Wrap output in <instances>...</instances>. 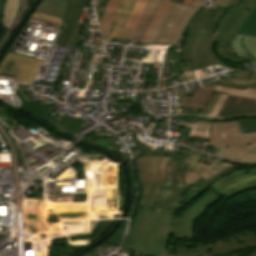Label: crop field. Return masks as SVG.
Returning a JSON list of instances; mask_svg holds the SVG:
<instances>
[{"mask_svg":"<svg viewBox=\"0 0 256 256\" xmlns=\"http://www.w3.org/2000/svg\"><path fill=\"white\" fill-rule=\"evenodd\" d=\"M220 197L210 190L182 217L137 209L122 250L152 256H202L209 247L195 246L193 223L208 205Z\"/></svg>","mask_w":256,"mask_h":256,"instance_id":"1","label":"crop field"},{"mask_svg":"<svg viewBox=\"0 0 256 256\" xmlns=\"http://www.w3.org/2000/svg\"><path fill=\"white\" fill-rule=\"evenodd\" d=\"M202 155L188 150L185 158H178L172 181L164 182L151 210L175 214L177 210L196 200L198 195L207 190L199 186L184 184L185 171L192 172Z\"/></svg>","mask_w":256,"mask_h":256,"instance_id":"2","label":"crop field"},{"mask_svg":"<svg viewBox=\"0 0 256 256\" xmlns=\"http://www.w3.org/2000/svg\"><path fill=\"white\" fill-rule=\"evenodd\" d=\"M207 146L219 149L216 156L224 159L242 164L256 163V133L241 134L236 121L212 123Z\"/></svg>","mask_w":256,"mask_h":256,"instance_id":"3","label":"crop field"},{"mask_svg":"<svg viewBox=\"0 0 256 256\" xmlns=\"http://www.w3.org/2000/svg\"><path fill=\"white\" fill-rule=\"evenodd\" d=\"M216 35L202 32L200 29L190 28L182 59L186 62L179 66V73L199 69L216 63L219 59L214 55L212 48Z\"/></svg>","mask_w":256,"mask_h":256,"instance_id":"4","label":"crop field"},{"mask_svg":"<svg viewBox=\"0 0 256 256\" xmlns=\"http://www.w3.org/2000/svg\"><path fill=\"white\" fill-rule=\"evenodd\" d=\"M134 158L138 168L139 180L143 188V197L139 208L150 209L165 180L166 157ZM158 191V192H156Z\"/></svg>","mask_w":256,"mask_h":256,"instance_id":"5","label":"crop field"},{"mask_svg":"<svg viewBox=\"0 0 256 256\" xmlns=\"http://www.w3.org/2000/svg\"><path fill=\"white\" fill-rule=\"evenodd\" d=\"M255 7L256 0H243L237 8H229L215 32L216 42L226 43L227 39L234 40L240 25Z\"/></svg>","mask_w":256,"mask_h":256,"instance_id":"6","label":"crop field"},{"mask_svg":"<svg viewBox=\"0 0 256 256\" xmlns=\"http://www.w3.org/2000/svg\"><path fill=\"white\" fill-rule=\"evenodd\" d=\"M254 188H256V169L239 170L214 182L210 186V189L225 199Z\"/></svg>","mask_w":256,"mask_h":256,"instance_id":"7","label":"crop field"},{"mask_svg":"<svg viewBox=\"0 0 256 256\" xmlns=\"http://www.w3.org/2000/svg\"><path fill=\"white\" fill-rule=\"evenodd\" d=\"M195 10L190 7L174 4L154 42L168 45L173 44L177 40L185 22Z\"/></svg>","mask_w":256,"mask_h":256,"instance_id":"8","label":"crop field"},{"mask_svg":"<svg viewBox=\"0 0 256 256\" xmlns=\"http://www.w3.org/2000/svg\"><path fill=\"white\" fill-rule=\"evenodd\" d=\"M41 61L6 53L0 62V75L16 77L15 81L31 82Z\"/></svg>","mask_w":256,"mask_h":256,"instance_id":"9","label":"crop field"},{"mask_svg":"<svg viewBox=\"0 0 256 256\" xmlns=\"http://www.w3.org/2000/svg\"><path fill=\"white\" fill-rule=\"evenodd\" d=\"M216 159L210 166L198 162L193 173L186 172L185 183L196 184L208 188L211 183L222 178L223 176L239 170L230 169L232 164L222 162L220 166L214 165Z\"/></svg>","mask_w":256,"mask_h":256,"instance_id":"10","label":"crop field"},{"mask_svg":"<svg viewBox=\"0 0 256 256\" xmlns=\"http://www.w3.org/2000/svg\"><path fill=\"white\" fill-rule=\"evenodd\" d=\"M255 245L256 234L253 231H247L243 234L218 242L205 256L225 254L240 248Z\"/></svg>","mask_w":256,"mask_h":256,"instance_id":"11","label":"crop field"},{"mask_svg":"<svg viewBox=\"0 0 256 256\" xmlns=\"http://www.w3.org/2000/svg\"><path fill=\"white\" fill-rule=\"evenodd\" d=\"M256 115V100L229 95L218 117Z\"/></svg>","mask_w":256,"mask_h":256,"instance_id":"12","label":"crop field"},{"mask_svg":"<svg viewBox=\"0 0 256 256\" xmlns=\"http://www.w3.org/2000/svg\"><path fill=\"white\" fill-rule=\"evenodd\" d=\"M228 47L236 55L249 60L256 67V37L237 35L235 41L228 40Z\"/></svg>","mask_w":256,"mask_h":256,"instance_id":"13","label":"crop field"},{"mask_svg":"<svg viewBox=\"0 0 256 256\" xmlns=\"http://www.w3.org/2000/svg\"><path fill=\"white\" fill-rule=\"evenodd\" d=\"M89 0H69L63 21L70 22L64 32L59 44L67 45L77 22L81 16L84 5H88Z\"/></svg>","mask_w":256,"mask_h":256,"instance_id":"14","label":"crop field"},{"mask_svg":"<svg viewBox=\"0 0 256 256\" xmlns=\"http://www.w3.org/2000/svg\"><path fill=\"white\" fill-rule=\"evenodd\" d=\"M161 4V1L149 0L137 29H131L126 39L142 41Z\"/></svg>","mask_w":256,"mask_h":256,"instance_id":"15","label":"crop field"},{"mask_svg":"<svg viewBox=\"0 0 256 256\" xmlns=\"http://www.w3.org/2000/svg\"><path fill=\"white\" fill-rule=\"evenodd\" d=\"M16 96L21 100V110L46 122L56 118L50 115L53 109L31 102L23 93L21 88H17Z\"/></svg>","mask_w":256,"mask_h":256,"instance_id":"16","label":"crop field"},{"mask_svg":"<svg viewBox=\"0 0 256 256\" xmlns=\"http://www.w3.org/2000/svg\"><path fill=\"white\" fill-rule=\"evenodd\" d=\"M215 91L222 92L217 103L215 104L214 108L212 111L205 115L208 117H217L219 111L221 110L223 104L225 103L227 97L229 94L240 96V97H245V98H253L256 99V89L252 88H246L245 91L240 90V89H235V88H229V87H224L218 85Z\"/></svg>","mask_w":256,"mask_h":256,"instance_id":"17","label":"crop field"},{"mask_svg":"<svg viewBox=\"0 0 256 256\" xmlns=\"http://www.w3.org/2000/svg\"><path fill=\"white\" fill-rule=\"evenodd\" d=\"M172 3L163 2L161 8L159 9L157 15L155 16L150 28L148 29L143 42L152 43L155 39L165 17L167 16L168 12L172 8Z\"/></svg>","mask_w":256,"mask_h":256,"instance_id":"18","label":"crop field"},{"mask_svg":"<svg viewBox=\"0 0 256 256\" xmlns=\"http://www.w3.org/2000/svg\"><path fill=\"white\" fill-rule=\"evenodd\" d=\"M67 2L65 0H42L36 12L63 18Z\"/></svg>","mask_w":256,"mask_h":256,"instance_id":"19","label":"crop field"},{"mask_svg":"<svg viewBox=\"0 0 256 256\" xmlns=\"http://www.w3.org/2000/svg\"><path fill=\"white\" fill-rule=\"evenodd\" d=\"M216 86L196 91L193 98L182 97V106L204 108Z\"/></svg>","mask_w":256,"mask_h":256,"instance_id":"20","label":"crop field"},{"mask_svg":"<svg viewBox=\"0 0 256 256\" xmlns=\"http://www.w3.org/2000/svg\"><path fill=\"white\" fill-rule=\"evenodd\" d=\"M113 224H110V223H102V224H99L98 226L101 227V230H100V233L97 234L94 238H91V242L90 244H92L93 242H95L97 239L101 238L109 229L110 227L112 226ZM57 244L58 245H65V244H68L67 241H57ZM88 244V245H90ZM88 245H80V246H72V245H69L67 248H64L61 247L59 249H61L62 251L59 253L60 256H72L74 255L78 250L88 246Z\"/></svg>","mask_w":256,"mask_h":256,"instance_id":"21","label":"crop field"},{"mask_svg":"<svg viewBox=\"0 0 256 256\" xmlns=\"http://www.w3.org/2000/svg\"><path fill=\"white\" fill-rule=\"evenodd\" d=\"M182 128H191L188 136L208 139L211 133V123L197 122L196 124L182 123Z\"/></svg>","mask_w":256,"mask_h":256,"instance_id":"22","label":"crop field"},{"mask_svg":"<svg viewBox=\"0 0 256 256\" xmlns=\"http://www.w3.org/2000/svg\"><path fill=\"white\" fill-rule=\"evenodd\" d=\"M220 85L245 89V87L256 88V73L247 78L222 79Z\"/></svg>","mask_w":256,"mask_h":256,"instance_id":"23","label":"crop field"},{"mask_svg":"<svg viewBox=\"0 0 256 256\" xmlns=\"http://www.w3.org/2000/svg\"><path fill=\"white\" fill-rule=\"evenodd\" d=\"M125 1L126 0H122L120 5H119V8H118L117 13H116V16H115V18H114V20H113V22H112V24H111V26H110L106 36L104 38L105 42H110L112 38H115V39H125L127 34H128V32H129V30H130V29H121V28L114 27V25H115V23L117 21V18H118L119 14H120V11H121Z\"/></svg>","mask_w":256,"mask_h":256,"instance_id":"24","label":"crop field"},{"mask_svg":"<svg viewBox=\"0 0 256 256\" xmlns=\"http://www.w3.org/2000/svg\"><path fill=\"white\" fill-rule=\"evenodd\" d=\"M19 2L20 0H7L4 7L1 26L9 28L16 16V12L19 8Z\"/></svg>","mask_w":256,"mask_h":256,"instance_id":"25","label":"crop field"},{"mask_svg":"<svg viewBox=\"0 0 256 256\" xmlns=\"http://www.w3.org/2000/svg\"><path fill=\"white\" fill-rule=\"evenodd\" d=\"M120 0H109L107 3V7L105 13L101 19L100 26L103 35H105L115 13L118 8Z\"/></svg>","mask_w":256,"mask_h":256,"instance_id":"26","label":"crop field"},{"mask_svg":"<svg viewBox=\"0 0 256 256\" xmlns=\"http://www.w3.org/2000/svg\"><path fill=\"white\" fill-rule=\"evenodd\" d=\"M65 115L66 114L62 116L61 123L55 125V128L63 132L69 133L71 135H74L78 130L82 129V126L80 125L83 123V121L78 120L76 118L73 119Z\"/></svg>","mask_w":256,"mask_h":256,"instance_id":"27","label":"crop field"},{"mask_svg":"<svg viewBox=\"0 0 256 256\" xmlns=\"http://www.w3.org/2000/svg\"><path fill=\"white\" fill-rule=\"evenodd\" d=\"M237 34L256 36V8L241 25Z\"/></svg>","mask_w":256,"mask_h":256,"instance_id":"28","label":"crop field"},{"mask_svg":"<svg viewBox=\"0 0 256 256\" xmlns=\"http://www.w3.org/2000/svg\"><path fill=\"white\" fill-rule=\"evenodd\" d=\"M147 2L148 0H138L125 28H136Z\"/></svg>","mask_w":256,"mask_h":256,"instance_id":"29","label":"crop field"},{"mask_svg":"<svg viewBox=\"0 0 256 256\" xmlns=\"http://www.w3.org/2000/svg\"><path fill=\"white\" fill-rule=\"evenodd\" d=\"M137 0H127L115 26L123 28Z\"/></svg>","mask_w":256,"mask_h":256,"instance_id":"30","label":"crop field"},{"mask_svg":"<svg viewBox=\"0 0 256 256\" xmlns=\"http://www.w3.org/2000/svg\"><path fill=\"white\" fill-rule=\"evenodd\" d=\"M217 51L219 53V55L221 57H223L225 60L227 61H231V62H237V63H240V62H244L246 60L234 55L230 50L229 48L227 47L226 44H218V48H217Z\"/></svg>","mask_w":256,"mask_h":256,"instance_id":"31","label":"crop field"},{"mask_svg":"<svg viewBox=\"0 0 256 256\" xmlns=\"http://www.w3.org/2000/svg\"><path fill=\"white\" fill-rule=\"evenodd\" d=\"M228 8L221 7L217 12L214 13L211 20L208 22L207 26L205 27L204 31L208 32H215V29L217 27V24L221 17L224 15V13L227 11Z\"/></svg>","mask_w":256,"mask_h":256,"instance_id":"32","label":"crop field"},{"mask_svg":"<svg viewBox=\"0 0 256 256\" xmlns=\"http://www.w3.org/2000/svg\"><path fill=\"white\" fill-rule=\"evenodd\" d=\"M237 123L242 133L256 132V119H241Z\"/></svg>","mask_w":256,"mask_h":256,"instance_id":"33","label":"crop field"},{"mask_svg":"<svg viewBox=\"0 0 256 256\" xmlns=\"http://www.w3.org/2000/svg\"><path fill=\"white\" fill-rule=\"evenodd\" d=\"M135 134H137V132H134V138H135V142H136V146L141 154V156H154V154H156V156H161V150H153L150 151V146H148L147 148H142L140 145L139 140L136 139Z\"/></svg>","mask_w":256,"mask_h":256,"instance_id":"34","label":"crop field"},{"mask_svg":"<svg viewBox=\"0 0 256 256\" xmlns=\"http://www.w3.org/2000/svg\"><path fill=\"white\" fill-rule=\"evenodd\" d=\"M127 220L124 224V226L114 235L112 236L110 239L107 240L108 243H112L114 245H121L125 230H126V226H127Z\"/></svg>","mask_w":256,"mask_h":256,"instance_id":"35","label":"crop field"},{"mask_svg":"<svg viewBox=\"0 0 256 256\" xmlns=\"http://www.w3.org/2000/svg\"><path fill=\"white\" fill-rule=\"evenodd\" d=\"M90 143L95 144V145H99L109 151H114L116 149H118L117 145L114 144L112 141L108 140V139H100V140H93Z\"/></svg>","mask_w":256,"mask_h":256,"instance_id":"36","label":"crop field"},{"mask_svg":"<svg viewBox=\"0 0 256 256\" xmlns=\"http://www.w3.org/2000/svg\"><path fill=\"white\" fill-rule=\"evenodd\" d=\"M220 95V93L214 92L213 95L211 96V98L209 99V101L207 102L205 108L203 109V111L201 112V116H204L205 114L209 113L210 110L213 108L218 96Z\"/></svg>","mask_w":256,"mask_h":256,"instance_id":"37","label":"crop field"},{"mask_svg":"<svg viewBox=\"0 0 256 256\" xmlns=\"http://www.w3.org/2000/svg\"><path fill=\"white\" fill-rule=\"evenodd\" d=\"M82 25L83 24L78 23V25H77V27H76L73 35H72V38L69 41L68 46H73L74 47V45H75V43H76V41H77V39H78V37L81 33Z\"/></svg>","mask_w":256,"mask_h":256,"instance_id":"38","label":"crop field"},{"mask_svg":"<svg viewBox=\"0 0 256 256\" xmlns=\"http://www.w3.org/2000/svg\"><path fill=\"white\" fill-rule=\"evenodd\" d=\"M242 0H216L214 5L234 7V4H240Z\"/></svg>","mask_w":256,"mask_h":256,"instance_id":"39","label":"crop field"},{"mask_svg":"<svg viewBox=\"0 0 256 256\" xmlns=\"http://www.w3.org/2000/svg\"><path fill=\"white\" fill-rule=\"evenodd\" d=\"M32 17L40 18V19L47 20V21L54 22V23H58V24L60 23V20H61L59 18L43 15V14L36 13V12L33 13Z\"/></svg>","mask_w":256,"mask_h":256,"instance_id":"40","label":"crop field"},{"mask_svg":"<svg viewBox=\"0 0 256 256\" xmlns=\"http://www.w3.org/2000/svg\"><path fill=\"white\" fill-rule=\"evenodd\" d=\"M106 3H107V1L100 0V6H96V11H97L99 22L104 13Z\"/></svg>","mask_w":256,"mask_h":256,"instance_id":"41","label":"crop field"},{"mask_svg":"<svg viewBox=\"0 0 256 256\" xmlns=\"http://www.w3.org/2000/svg\"><path fill=\"white\" fill-rule=\"evenodd\" d=\"M130 167V172H131V182H132V198L134 197V191H135V182H134V175H133V170H132V165L131 161L127 162Z\"/></svg>","mask_w":256,"mask_h":256,"instance_id":"42","label":"crop field"},{"mask_svg":"<svg viewBox=\"0 0 256 256\" xmlns=\"http://www.w3.org/2000/svg\"><path fill=\"white\" fill-rule=\"evenodd\" d=\"M93 74H94V72H90V71L85 70L81 80H85V81H89L90 79L93 80Z\"/></svg>","mask_w":256,"mask_h":256,"instance_id":"43","label":"crop field"},{"mask_svg":"<svg viewBox=\"0 0 256 256\" xmlns=\"http://www.w3.org/2000/svg\"><path fill=\"white\" fill-rule=\"evenodd\" d=\"M188 29L189 27L188 26H185L184 30H183V33L179 39V41L177 43H179L180 45H183V41H184V38L185 36L187 35V32H188Z\"/></svg>","mask_w":256,"mask_h":256,"instance_id":"44","label":"crop field"},{"mask_svg":"<svg viewBox=\"0 0 256 256\" xmlns=\"http://www.w3.org/2000/svg\"><path fill=\"white\" fill-rule=\"evenodd\" d=\"M193 109H195V108H186V109H184V111H188L189 114H197V115H199V113L202 110V109H195L196 112H194ZM183 113H185V112H183Z\"/></svg>","mask_w":256,"mask_h":256,"instance_id":"45","label":"crop field"},{"mask_svg":"<svg viewBox=\"0 0 256 256\" xmlns=\"http://www.w3.org/2000/svg\"><path fill=\"white\" fill-rule=\"evenodd\" d=\"M6 0H0V23H1V16H2V12H3V7L5 4ZM4 29L3 27L0 26V30Z\"/></svg>","mask_w":256,"mask_h":256,"instance_id":"46","label":"crop field"},{"mask_svg":"<svg viewBox=\"0 0 256 256\" xmlns=\"http://www.w3.org/2000/svg\"><path fill=\"white\" fill-rule=\"evenodd\" d=\"M206 0H194L193 5L194 7H200Z\"/></svg>","mask_w":256,"mask_h":256,"instance_id":"47","label":"crop field"},{"mask_svg":"<svg viewBox=\"0 0 256 256\" xmlns=\"http://www.w3.org/2000/svg\"><path fill=\"white\" fill-rule=\"evenodd\" d=\"M34 0H26V8L28 9Z\"/></svg>","mask_w":256,"mask_h":256,"instance_id":"48","label":"crop field"},{"mask_svg":"<svg viewBox=\"0 0 256 256\" xmlns=\"http://www.w3.org/2000/svg\"><path fill=\"white\" fill-rule=\"evenodd\" d=\"M192 2L193 0H184L183 4L191 6Z\"/></svg>","mask_w":256,"mask_h":256,"instance_id":"49","label":"crop field"},{"mask_svg":"<svg viewBox=\"0 0 256 256\" xmlns=\"http://www.w3.org/2000/svg\"><path fill=\"white\" fill-rule=\"evenodd\" d=\"M62 34H63V32H62V31H60V32H59V35H58V37H57V39H56V41H55V43H56V44H58V43H59V40H60V38H61Z\"/></svg>","mask_w":256,"mask_h":256,"instance_id":"50","label":"crop field"},{"mask_svg":"<svg viewBox=\"0 0 256 256\" xmlns=\"http://www.w3.org/2000/svg\"><path fill=\"white\" fill-rule=\"evenodd\" d=\"M182 1H183V0H178V2H177V3H180V4H181V3H182Z\"/></svg>","mask_w":256,"mask_h":256,"instance_id":"51","label":"crop field"},{"mask_svg":"<svg viewBox=\"0 0 256 256\" xmlns=\"http://www.w3.org/2000/svg\"><path fill=\"white\" fill-rule=\"evenodd\" d=\"M172 2H175V3H176V2H177V0H172Z\"/></svg>","mask_w":256,"mask_h":256,"instance_id":"52","label":"crop field"},{"mask_svg":"<svg viewBox=\"0 0 256 256\" xmlns=\"http://www.w3.org/2000/svg\"><path fill=\"white\" fill-rule=\"evenodd\" d=\"M165 1H168V0H165Z\"/></svg>","mask_w":256,"mask_h":256,"instance_id":"53","label":"crop field"},{"mask_svg":"<svg viewBox=\"0 0 256 256\" xmlns=\"http://www.w3.org/2000/svg\"><path fill=\"white\" fill-rule=\"evenodd\" d=\"M170 1V0H169Z\"/></svg>","mask_w":256,"mask_h":256,"instance_id":"54","label":"crop field"}]
</instances>
